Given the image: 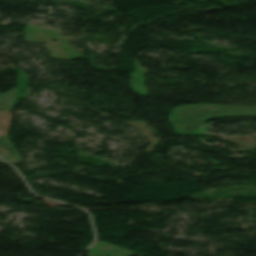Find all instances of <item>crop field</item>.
I'll return each instance as SVG.
<instances>
[{
	"label": "crop field",
	"instance_id": "obj_1",
	"mask_svg": "<svg viewBox=\"0 0 256 256\" xmlns=\"http://www.w3.org/2000/svg\"><path fill=\"white\" fill-rule=\"evenodd\" d=\"M172 115L177 120L173 122L176 134H185L193 132L201 124L218 116L256 115V107L210 104L185 105L175 107Z\"/></svg>",
	"mask_w": 256,
	"mask_h": 256
}]
</instances>
